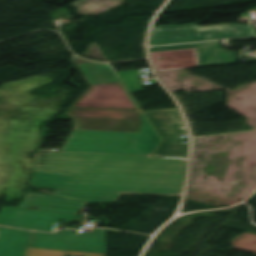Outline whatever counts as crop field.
<instances>
[{
  "instance_id": "obj_1",
  "label": "crop field",
  "mask_w": 256,
  "mask_h": 256,
  "mask_svg": "<svg viewBox=\"0 0 256 256\" xmlns=\"http://www.w3.org/2000/svg\"><path fill=\"white\" fill-rule=\"evenodd\" d=\"M161 142L145 114H141L137 137L128 148L116 154H38L48 157H37L35 168L75 175L59 189L181 193L187 159L151 157Z\"/></svg>"
},
{
  "instance_id": "obj_10",
  "label": "crop field",
  "mask_w": 256,
  "mask_h": 256,
  "mask_svg": "<svg viewBox=\"0 0 256 256\" xmlns=\"http://www.w3.org/2000/svg\"><path fill=\"white\" fill-rule=\"evenodd\" d=\"M79 67L89 81L90 85L118 81L133 102V104L136 106V108H139L133 97L130 95V93L116 74V72L111 68L109 64L89 63L81 64L79 65Z\"/></svg>"
},
{
  "instance_id": "obj_13",
  "label": "crop field",
  "mask_w": 256,
  "mask_h": 256,
  "mask_svg": "<svg viewBox=\"0 0 256 256\" xmlns=\"http://www.w3.org/2000/svg\"><path fill=\"white\" fill-rule=\"evenodd\" d=\"M66 251L26 248L23 256H65Z\"/></svg>"
},
{
  "instance_id": "obj_4",
  "label": "crop field",
  "mask_w": 256,
  "mask_h": 256,
  "mask_svg": "<svg viewBox=\"0 0 256 256\" xmlns=\"http://www.w3.org/2000/svg\"><path fill=\"white\" fill-rule=\"evenodd\" d=\"M120 193L55 190L53 196L27 192L28 208L78 214L87 203L115 202Z\"/></svg>"
},
{
  "instance_id": "obj_3",
  "label": "crop field",
  "mask_w": 256,
  "mask_h": 256,
  "mask_svg": "<svg viewBox=\"0 0 256 256\" xmlns=\"http://www.w3.org/2000/svg\"><path fill=\"white\" fill-rule=\"evenodd\" d=\"M256 36L252 25L228 24L217 30H205L196 24L161 26L152 30L150 45Z\"/></svg>"
},
{
  "instance_id": "obj_6",
  "label": "crop field",
  "mask_w": 256,
  "mask_h": 256,
  "mask_svg": "<svg viewBox=\"0 0 256 256\" xmlns=\"http://www.w3.org/2000/svg\"><path fill=\"white\" fill-rule=\"evenodd\" d=\"M30 247L106 253L105 230L91 234L60 230L56 234L36 232Z\"/></svg>"
},
{
  "instance_id": "obj_12",
  "label": "crop field",
  "mask_w": 256,
  "mask_h": 256,
  "mask_svg": "<svg viewBox=\"0 0 256 256\" xmlns=\"http://www.w3.org/2000/svg\"><path fill=\"white\" fill-rule=\"evenodd\" d=\"M129 92H137V91H143L142 87L140 86L136 74V70H130V71H120L117 72Z\"/></svg>"
},
{
  "instance_id": "obj_8",
  "label": "crop field",
  "mask_w": 256,
  "mask_h": 256,
  "mask_svg": "<svg viewBox=\"0 0 256 256\" xmlns=\"http://www.w3.org/2000/svg\"><path fill=\"white\" fill-rule=\"evenodd\" d=\"M199 47L201 67L237 62L236 52L221 49L220 42L188 45L160 46L150 48L151 52Z\"/></svg>"
},
{
  "instance_id": "obj_7",
  "label": "crop field",
  "mask_w": 256,
  "mask_h": 256,
  "mask_svg": "<svg viewBox=\"0 0 256 256\" xmlns=\"http://www.w3.org/2000/svg\"><path fill=\"white\" fill-rule=\"evenodd\" d=\"M28 204L20 203L19 208L2 207L0 225L23 229L53 232L59 219L73 220L77 215L26 210Z\"/></svg>"
},
{
  "instance_id": "obj_9",
  "label": "crop field",
  "mask_w": 256,
  "mask_h": 256,
  "mask_svg": "<svg viewBox=\"0 0 256 256\" xmlns=\"http://www.w3.org/2000/svg\"><path fill=\"white\" fill-rule=\"evenodd\" d=\"M31 232L0 227V256H22L29 246Z\"/></svg>"
},
{
  "instance_id": "obj_14",
  "label": "crop field",
  "mask_w": 256,
  "mask_h": 256,
  "mask_svg": "<svg viewBox=\"0 0 256 256\" xmlns=\"http://www.w3.org/2000/svg\"><path fill=\"white\" fill-rule=\"evenodd\" d=\"M66 254L81 255V256H105V254L86 253V252H76V251H67Z\"/></svg>"
},
{
  "instance_id": "obj_2",
  "label": "crop field",
  "mask_w": 256,
  "mask_h": 256,
  "mask_svg": "<svg viewBox=\"0 0 256 256\" xmlns=\"http://www.w3.org/2000/svg\"><path fill=\"white\" fill-rule=\"evenodd\" d=\"M140 109L69 108L74 130L61 152L115 153L135 139Z\"/></svg>"
},
{
  "instance_id": "obj_15",
  "label": "crop field",
  "mask_w": 256,
  "mask_h": 256,
  "mask_svg": "<svg viewBox=\"0 0 256 256\" xmlns=\"http://www.w3.org/2000/svg\"><path fill=\"white\" fill-rule=\"evenodd\" d=\"M222 25H219V26H210V27H203V28H206V29H216L218 27H221Z\"/></svg>"
},
{
  "instance_id": "obj_5",
  "label": "crop field",
  "mask_w": 256,
  "mask_h": 256,
  "mask_svg": "<svg viewBox=\"0 0 256 256\" xmlns=\"http://www.w3.org/2000/svg\"><path fill=\"white\" fill-rule=\"evenodd\" d=\"M160 137L162 145L153 156L188 158V144L175 143L180 135H188L178 109L143 111Z\"/></svg>"
},
{
  "instance_id": "obj_11",
  "label": "crop field",
  "mask_w": 256,
  "mask_h": 256,
  "mask_svg": "<svg viewBox=\"0 0 256 256\" xmlns=\"http://www.w3.org/2000/svg\"><path fill=\"white\" fill-rule=\"evenodd\" d=\"M72 177V175L35 169L30 185L58 189Z\"/></svg>"
}]
</instances>
